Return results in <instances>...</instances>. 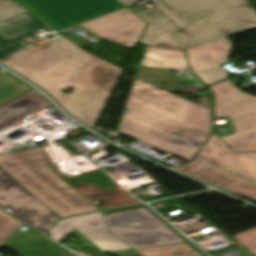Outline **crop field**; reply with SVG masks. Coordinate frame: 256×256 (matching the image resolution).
<instances>
[{"label":"crop field","mask_w":256,"mask_h":256,"mask_svg":"<svg viewBox=\"0 0 256 256\" xmlns=\"http://www.w3.org/2000/svg\"><path fill=\"white\" fill-rule=\"evenodd\" d=\"M0 63L46 90L68 113L93 129L123 72L65 37L41 47L30 45ZM71 88L73 94L61 92Z\"/></svg>","instance_id":"1"},{"label":"crop field","mask_w":256,"mask_h":256,"mask_svg":"<svg viewBox=\"0 0 256 256\" xmlns=\"http://www.w3.org/2000/svg\"><path fill=\"white\" fill-rule=\"evenodd\" d=\"M126 109L119 132L186 160L211 134L209 109L137 80Z\"/></svg>","instance_id":"2"},{"label":"crop field","mask_w":256,"mask_h":256,"mask_svg":"<svg viewBox=\"0 0 256 256\" xmlns=\"http://www.w3.org/2000/svg\"><path fill=\"white\" fill-rule=\"evenodd\" d=\"M15 1L57 31L124 7L116 0ZM45 26L13 1L0 0V58L26 46L15 40Z\"/></svg>","instance_id":"3"},{"label":"crop field","mask_w":256,"mask_h":256,"mask_svg":"<svg viewBox=\"0 0 256 256\" xmlns=\"http://www.w3.org/2000/svg\"><path fill=\"white\" fill-rule=\"evenodd\" d=\"M132 5L141 0H119ZM185 28L175 32L184 49L256 29L248 0H155Z\"/></svg>","instance_id":"4"},{"label":"crop field","mask_w":256,"mask_h":256,"mask_svg":"<svg viewBox=\"0 0 256 256\" xmlns=\"http://www.w3.org/2000/svg\"><path fill=\"white\" fill-rule=\"evenodd\" d=\"M0 165L61 217L97 210L47 166L41 147L1 155Z\"/></svg>","instance_id":"5"},{"label":"crop field","mask_w":256,"mask_h":256,"mask_svg":"<svg viewBox=\"0 0 256 256\" xmlns=\"http://www.w3.org/2000/svg\"><path fill=\"white\" fill-rule=\"evenodd\" d=\"M176 169L256 202V153H234L215 134L194 161Z\"/></svg>","instance_id":"6"},{"label":"crop field","mask_w":256,"mask_h":256,"mask_svg":"<svg viewBox=\"0 0 256 256\" xmlns=\"http://www.w3.org/2000/svg\"><path fill=\"white\" fill-rule=\"evenodd\" d=\"M215 116H231L235 134L221 139L235 152L256 151V96L241 92L228 81L210 87Z\"/></svg>","instance_id":"7"},{"label":"crop field","mask_w":256,"mask_h":256,"mask_svg":"<svg viewBox=\"0 0 256 256\" xmlns=\"http://www.w3.org/2000/svg\"><path fill=\"white\" fill-rule=\"evenodd\" d=\"M106 217L111 232L134 249L186 242L146 208Z\"/></svg>","instance_id":"8"},{"label":"crop field","mask_w":256,"mask_h":256,"mask_svg":"<svg viewBox=\"0 0 256 256\" xmlns=\"http://www.w3.org/2000/svg\"><path fill=\"white\" fill-rule=\"evenodd\" d=\"M32 195L0 167V207L12 209L11 214L45 232L61 217Z\"/></svg>","instance_id":"9"},{"label":"crop field","mask_w":256,"mask_h":256,"mask_svg":"<svg viewBox=\"0 0 256 256\" xmlns=\"http://www.w3.org/2000/svg\"><path fill=\"white\" fill-rule=\"evenodd\" d=\"M80 25L113 43L135 47L146 27V22L125 8Z\"/></svg>","instance_id":"10"},{"label":"crop field","mask_w":256,"mask_h":256,"mask_svg":"<svg viewBox=\"0 0 256 256\" xmlns=\"http://www.w3.org/2000/svg\"><path fill=\"white\" fill-rule=\"evenodd\" d=\"M231 49L228 38L188 48L190 68L207 86L225 80L229 71L218 64L228 61Z\"/></svg>","instance_id":"11"},{"label":"crop field","mask_w":256,"mask_h":256,"mask_svg":"<svg viewBox=\"0 0 256 256\" xmlns=\"http://www.w3.org/2000/svg\"><path fill=\"white\" fill-rule=\"evenodd\" d=\"M137 14L149 21V26L140 44L182 50L171 34L173 30L181 27V25L160 7L138 12Z\"/></svg>","instance_id":"12"},{"label":"crop field","mask_w":256,"mask_h":256,"mask_svg":"<svg viewBox=\"0 0 256 256\" xmlns=\"http://www.w3.org/2000/svg\"><path fill=\"white\" fill-rule=\"evenodd\" d=\"M4 247L21 256H74L29 227L25 232L19 230Z\"/></svg>","instance_id":"13"},{"label":"crop field","mask_w":256,"mask_h":256,"mask_svg":"<svg viewBox=\"0 0 256 256\" xmlns=\"http://www.w3.org/2000/svg\"><path fill=\"white\" fill-rule=\"evenodd\" d=\"M51 105L33 89L0 106V130Z\"/></svg>","instance_id":"14"},{"label":"crop field","mask_w":256,"mask_h":256,"mask_svg":"<svg viewBox=\"0 0 256 256\" xmlns=\"http://www.w3.org/2000/svg\"><path fill=\"white\" fill-rule=\"evenodd\" d=\"M141 65L188 71L183 52L151 47L147 48Z\"/></svg>","instance_id":"15"},{"label":"crop field","mask_w":256,"mask_h":256,"mask_svg":"<svg viewBox=\"0 0 256 256\" xmlns=\"http://www.w3.org/2000/svg\"><path fill=\"white\" fill-rule=\"evenodd\" d=\"M90 241L113 237L100 212L65 219Z\"/></svg>","instance_id":"16"},{"label":"crop field","mask_w":256,"mask_h":256,"mask_svg":"<svg viewBox=\"0 0 256 256\" xmlns=\"http://www.w3.org/2000/svg\"><path fill=\"white\" fill-rule=\"evenodd\" d=\"M29 86L9 72L0 71V105L30 90Z\"/></svg>","instance_id":"17"},{"label":"crop field","mask_w":256,"mask_h":256,"mask_svg":"<svg viewBox=\"0 0 256 256\" xmlns=\"http://www.w3.org/2000/svg\"><path fill=\"white\" fill-rule=\"evenodd\" d=\"M143 256H203L188 243L136 250Z\"/></svg>","instance_id":"18"},{"label":"crop field","mask_w":256,"mask_h":256,"mask_svg":"<svg viewBox=\"0 0 256 256\" xmlns=\"http://www.w3.org/2000/svg\"><path fill=\"white\" fill-rule=\"evenodd\" d=\"M22 224L23 223L0 210V244L4 243Z\"/></svg>","instance_id":"19"},{"label":"crop field","mask_w":256,"mask_h":256,"mask_svg":"<svg viewBox=\"0 0 256 256\" xmlns=\"http://www.w3.org/2000/svg\"><path fill=\"white\" fill-rule=\"evenodd\" d=\"M231 237L256 256V228L231 235Z\"/></svg>","instance_id":"20"},{"label":"crop field","mask_w":256,"mask_h":256,"mask_svg":"<svg viewBox=\"0 0 256 256\" xmlns=\"http://www.w3.org/2000/svg\"><path fill=\"white\" fill-rule=\"evenodd\" d=\"M93 243H95L104 252H112V251H120V250L130 249L128 246H126L124 243H122L116 237L99 240V241H94Z\"/></svg>","instance_id":"21"},{"label":"crop field","mask_w":256,"mask_h":256,"mask_svg":"<svg viewBox=\"0 0 256 256\" xmlns=\"http://www.w3.org/2000/svg\"><path fill=\"white\" fill-rule=\"evenodd\" d=\"M75 228L69 225L64 220L59 222L52 230V235L54 236L53 239L56 242H60L63 240L67 235H69Z\"/></svg>","instance_id":"22"},{"label":"crop field","mask_w":256,"mask_h":256,"mask_svg":"<svg viewBox=\"0 0 256 256\" xmlns=\"http://www.w3.org/2000/svg\"><path fill=\"white\" fill-rule=\"evenodd\" d=\"M111 254H113L115 256H140L139 254L135 253L132 250L120 251V252H112Z\"/></svg>","instance_id":"23"},{"label":"crop field","mask_w":256,"mask_h":256,"mask_svg":"<svg viewBox=\"0 0 256 256\" xmlns=\"http://www.w3.org/2000/svg\"><path fill=\"white\" fill-rule=\"evenodd\" d=\"M71 234L74 235L76 238H78L82 242L89 241L80 232H78L76 229Z\"/></svg>","instance_id":"24"},{"label":"crop field","mask_w":256,"mask_h":256,"mask_svg":"<svg viewBox=\"0 0 256 256\" xmlns=\"http://www.w3.org/2000/svg\"><path fill=\"white\" fill-rule=\"evenodd\" d=\"M76 256H87V255H85V254H82V253H79V252H77V251H75V252H73Z\"/></svg>","instance_id":"25"}]
</instances>
